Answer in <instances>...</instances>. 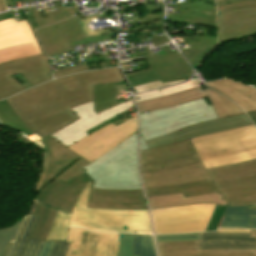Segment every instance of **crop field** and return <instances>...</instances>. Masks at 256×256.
Wrapping results in <instances>:
<instances>
[{
  "label": "crop field",
  "mask_w": 256,
  "mask_h": 256,
  "mask_svg": "<svg viewBox=\"0 0 256 256\" xmlns=\"http://www.w3.org/2000/svg\"><path fill=\"white\" fill-rule=\"evenodd\" d=\"M137 133L93 163L77 160L34 199L29 214L39 216L30 238L45 241L58 209L72 213L88 184L113 189H141L136 165Z\"/></svg>",
  "instance_id": "obj_1"
},
{
  "label": "crop field",
  "mask_w": 256,
  "mask_h": 256,
  "mask_svg": "<svg viewBox=\"0 0 256 256\" xmlns=\"http://www.w3.org/2000/svg\"><path fill=\"white\" fill-rule=\"evenodd\" d=\"M125 81L119 68L57 78L6 99L24 123L41 137L79 119L70 108L93 100L92 85Z\"/></svg>",
  "instance_id": "obj_2"
},
{
  "label": "crop field",
  "mask_w": 256,
  "mask_h": 256,
  "mask_svg": "<svg viewBox=\"0 0 256 256\" xmlns=\"http://www.w3.org/2000/svg\"><path fill=\"white\" fill-rule=\"evenodd\" d=\"M92 182L77 200L72 215L58 211L46 240H65L69 226L91 231L152 234L147 210L86 209Z\"/></svg>",
  "instance_id": "obj_3"
},
{
  "label": "crop field",
  "mask_w": 256,
  "mask_h": 256,
  "mask_svg": "<svg viewBox=\"0 0 256 256\" xmlns=\"http://www.w3.org/2000/svg\"><path fill=\"white\" fill-rule=\"evenodd\" d=\"M205 169L256 158L254 125L190 139Z\"/></svg>",
  "instance_id": "obj_4"
},
{
  "label": "crop field",
  "mask_w": 256,
  "mask_h": 256,
  "mask_svg": "<svg viewBox=\"0 0 256 256\" xmlns=\"http://www.w3.org/2000/svg\"><path fill=\"white\" fill-rule=\"evenodd\" d=\"M211 106L201 100L140 114L144 140L157 138L185 126L216 119Z\"/></svg>",
  "instance_id": "obj_5"
},
{
  "label": "crop field",
  "mask_w": 256,
  "mask_h": 256,
  "mask_svg": "<svg viewBox=\"0 0 256 256\" xmlns=\"http://www.w3.org/2000/svg\"><path fill=\"white\" fill-rule=\"evenodd\" d=\"M228 205L256 204V160L207 170Z\"/></svg>",
  "instance_id": "obj_6"
},
{
  "label": "crop field",
  "mask_w": 256,
  "mask_h": 256,
  "mask_svg": "<svg viewBox=\"0 0 256 256\" xmlns=\"http://www.w3.org/2000/svg\"><path fill=\"white\" fill-rule=\"evenodd\" d=\"M215 205L206 203L150 209L154 232L159 234L205 231Z\"/></svg>",
  "instance_id": "obj_7"
},
{
  "label": "crop field",
  "mask_w": 256,
  "mask_h": 256,
  "mask_svg": "<svg viewBox=\"0 0 256 256\" xmlns=\"http://www.w3.org/2000/svg\"><path fill=\"white\" fill-rule=\"evenodd\" d=\"M44 54L40 40L29 22L15 18L0 22V63Z\"/></svg>",
  "instance_id": "obj_8"
},
{
  "label": "crop field",
  "mask_w": 256,
  "mask_h": 256,
  "mask_svg": "<svg viewBox=\"0 0 256 256\" xmlns=\"http://www.w3.org/2000/svg\"><path fill=\"white\" fill-rule=\"evenodd\" d=\"M136 132L135 116L118 126L111 123L68 148L91 163Z\"/></svg>",
  "instance_id": "obj_9"
},
{
  "label": "crop field",
  "mask_w": 256,
  "mask_h": 256,
  "mask_svg": "<svg viewBox=\"0 0 256 256\" xmlns=\"http://www.w3.org/2000/svg\"><path fill=\"white\" fill-rule=\"evenodd\" d=\"M189 140L140 151V171L152 172L199 163Z\"/></svg>",
  "instance_id": "obj_10"
},
{
  "label": "crop field",
  "mask_w": 256,
  "mask_h": 256,
  "mask_svg": "<svg viewBox=\"0 0 256 256\" xmlns=\"http://www.w3.org/2000/svg\"><path fill=\"white\" fill-rule=\"evenodd\" d=\"M47 62V63H45ZM10 71V73H8ZM48 61L45 55L25 58L0 65V99L18 93L25 88L22 87L10 75L23 73L34 85L51 80Z\"/></svg>",
  "instance_id": "obj_11"
},
{
  "label": "crop field",
  "mask_w": 256,
  "mask_h": 256,
  "mask_svg": "<svg viewBox=\"0 0 256 256\" xmlns=\"http://www.w3.org/2000/svg\"><path fill=\"white\" fill-rule=\"evenodd\" d=\"M80 23V25H79ZM85 23L80 15L65 22L44 27L37 30V33L46 49L47 55H56L74 51L72 41L97 35L117 33V29L101 31L98 34H85L83 31ZM53 32V33H52Z\"/></svg>",
  "instance_id": "obj_12"
},
{
  "label": "crop field",
  "mask_w": 256,
  "mask_h": 256,
  "mask_svg": "<svg viewBox=\"0 0 256 256\" xmlns=\"http://www.w3.org/2000/svg\"><path fill=\"white\" fill-rule=\"evenodd\" d=\"M206 96L210 100L219 118L244 112L241 108H239L233 102L221 96L220 94L210 89L202 91L200 87L157 99L138 102L136 104L138 106L139 113H142L146 111L191 102L197 99L204 98Z\"/></svg>",
  "instance_id": "obj_13"
},
{
  "label": "crop field",
  "mask_w": 256,
  "mask_h": 256,
  "mask_svg": "<svg viewBox=\"0 0 256 256\" xmlns=\"http://www.w3.org/2000/svg\"><path fill=\"white\" fill-rule=\"evenodd\" d=\"M132 100L108 109L100 114H95L93 112V101L87 104L72 108V110L80 118L71 125L61 129L55 134L51 135L64 146H69L82 138L88 136L85 131L95 127L96 125L106 121L107 119L117 115L118 113L133 106ZM86 134H85V133Z\"/></svg>",
  "instance_id": "obj_14"
},
{
  "label": "crop field",
  "mask_w": 256,
  "mask_h": 256,
  "mask_svg": "<svg viewBox=\"0 0 256 256\" xmlns=\"http://www.w3.org/2000/svg\"><path fill=\"white\" fill-rule=\"evenodd\" d=\"M120 234L89 232L70 228L67 256H117Z\"/></svg>",
  "instance_id": "obj_15"
},
{
  "label": "crop field",
  "mask_w": 256,
  "mask_h": 256,
  "mask_svg": "<svg viewBox=\"0 0 256 256\" xmlns=\"http://www.w3.org/2000/svg\"><path fill=\"white\" fill-rule=\"evenodd\" d=\"M252 122L246 115V113L238 114L232 117H225L198 125L190 126L177 130L171 134L161 136L157 139L146 141L149 149L162 146L165 144L173 143L183 139L211 134L223 130H228L232 128L242 127L246 125H251Z\"/></svg>",
  "instance_id": "obj_16"
},
{
  "label": "crop field",
  "mask_w": 256,
  "mask_h": 256,
  "mask_svg": "<svg viewBox=\"0 0 256 256\" xmlns=\"http://www.w3.org/2000/svg\"><path fill=\"white\" fill-rule=\"evenodd\" d=\"M40 147L46 155L45 164L41 172L34 197L56 176L74 163L78 157L69 149L61 145L50 135L38 141Z\"/></svg>",
  "instance_id": "obj_17"
},
{
  "label": "crop field",
  "mask_w": 256,
  "mask_h": 256,
  "mask_svg": "<svg viewBox=\"0 0 256 256\" xmlns=\"http://www.w3.org/2000/svg\"><path fill=\"white\" fill-rule=\"evenodd\" d=\"M37 218L32 215L24 216L15 240L10 241L3 256H38L44 242L28 238ZM69 244L56 241L49 256H66Z\"/></svg>",
  "instance_id": "obj_18"
},
{
  "label": "crop field",
  "mask_w": 256,
  "mask_h": 256,
  "mask_svg": "<svg viewBox=\"0 0 256 256\" xmlns=\"http://www.w3.org/2000/svg\"><path fill=\"white\" fill-rule=\"evenodd\" d=\"M87 208L147 209L141 190H113L92 187Z\"/></svg>",
  "instance_id": "obj_19"
},
{
  "label": "crop field",
  "mask_w": 256,
  "mask_h": 256,
  "mask_svg": "<svg viewBox=\"0 0 256 256\" xmlns=\"http://www.w3.org/2000/svg\"><path fill=\"white\" fill-rule=\"evenodd\" d=\"M219 43L256 34V8H240L218 14Z\"/></svg>",
  "instance_id": "obj_20"
},
{
  "label": "crop field",
  "mask_w": 256,
  "mask_h": 256,
  "mask_svg": "<svg viewBox=\"0 0 256 256\" xmlns=\"http://www.w3.org/2000/svg\"><path fill=\"white\" fill-rule=\"evenodd\" d=\"M179 8V14H168V23L184 22L216 28L215 0H186V2L167 5Z\"/></svg>",
  "instance_id": "obj_21"
},
{
  "label": "crop field",
  "mask_w": 256,
  "mask_h": 256,
  "mask_svg": "<svg viewBox=\"0 0 256 256\" xmlns=\"http://www.w3.org/2000/svg\"><path fill=\"white\" fill-rule=\"evenodd\" d=\"M145 188L191 183L210 179L202 163L177 169L141 174Z\"/></svg>",
  "instance_id": "obj_22"
},
{
  "label": "crop field",
  "mask_w": 256,
  "mask_h": 256,
  "mask_svg": "<svg viewBox=\"0 0 256 256\" xmlns=\"http://www.w3.org/2000/svg\"><path fill=\"white\" fill-rule=\"evenodd\" d=\"M141 59H147L150 69L127 73L125 74L126 76L158 69L162 78V82H167V81L186 79V78H189L190 75L192 74L191 68L187 65V63L185 62L181 54L142 57V58L121 61V63L141 60Z\"/></svg>",
  "instance_id": "obj_23"
},
{
  "label": "crop field",
  "mask_w": 256,
  "mask_h": 256,
  "mask_svg": "<svg viewBox=\"0 0 256 256\" xmlns=\"http://www.w3.org/2000/svg\"><path fill=\"white\" fill-rule=\"evenodd\" d=\"M159 256H254V250H199V241L157 243Z\"/></svg>",
  "instance_id": "obj_24"
},
{
  "label": "crop field",
  "mask_w": 256,
  "mask_h": 256,
  "mask_svg": "<svg viewBox=\"0 0 256 256\" xmlns=\"http://www.w3.org/2000/svg\"><path fill=\"white\" fill-rule=\"evenodd\" d=\"M255 240L249 233H200V249H254Z\"/></svg>",
  "instance_id": "obj_25"
},
{
  "label": "crop field",
  "mask_w": 256,
  "mask_h": 256,
  "mask_svg": "<svg viewBox=\"0 0 256 256\" xmlns=\"http://www.w3.org/2000/svg\"><path fill=\"white\" fill-rule=\"evenodd\" d=\"M205 84L221 92L224 96L231 98L246 112L256 110V90L253 88L237 83L231 79H223Z\"/></svg>",
  "instance_id": "obj_26"
},
{
  "label": "crop field",
  "mask_w": 256,
  "mask_h": 256,
  "mask_svg": "<svg viewBox=\"0 0 256 256\" xmlns=\"http://www.w3.org/2000/svg\"><path fill=\"white\" fill-rule=\"evenodd\" d=\"M151 208H161L175 205H186V204H197V203H219L227 205V202L221 200L222 195L218 193L200 195L194 197L184 198L182 193L165 195V196H154L147 197Z\"/></svg>",
  "instance_id": "obj_27"
},
{
  "label": "crop field",
  "mask_w": 256,
  "mask_h": 256,
  "mask_svg": "<svg viewBox=\"0 0 256 256\" xmlns=\"http://www.w3.org/2000/svg\"><path fill=\"white\" fill-rule=\"evenodd\" d=\"M145 191L147 196L183 192L185 197L216 192L211 180H204L185 185L145 189Z\"/></svg>",
  "instance_id": "obj_28"
},
{
  "label": "crop field",
  "mask_w": 256,
  "mask_h": 256,
  "mask_svg": "<svg viewBox=\"0 0 256 256\" xmlns=\"http://www.w3.org/2000/svg\"><path fill=\"white\" fill-rule=\"evenodd\" d=\"M218 227H249V206H227Z\"/></svg>",
  "instance_id": "obj_29"
},
{
  "label": "crop field",
  "mask_w": 256,
  "mask_h": 256,
  "mask_svg": "<svg viewBox=\"0 0 256 256\" xmlns=\"http://www.w3.org/2000/svg\"><path fill=\"white\" fill-rule=\"evenodd\" d=\"M94 106L102 102L115 98L116 96L130 92L126 82H118L93 86Z\"/></svg>",
  "instance_id": "obj_30"
},
{
  "label": "crop field",
  "mask_w": 256,
  "mask_h": 256,
  "mask_svg": "<svg viewBox=\"0 0 256 256\" xmlns=\"http://www.w3.org/2000/svg\"><path fill=\"white\" fill-rule=\"evenodd\" d=\"M54 4V6L56 7L57 10L49 12V13H45L47 17L41 18L36 7H32L30 8L33 16L35 17L39 27L41 26H45L54 22H58L64 19H68L73 17L72 15H76L75 11L70 8H65L62 7L61 4L59 3V1H53L52 2Z\"/></svg>",
  "instance_id": "obj_31"
},
{
  "label": "crop field",
  "mask_w": 256,
  "mask_h": 256,
  "mask_svg": "<svg viewBox=\"0 0 256 256\" xmlns=\"http://www.w3.org/2000/svg\"><path fill=\"white\" fill-rule=\"evenodd\" d=\"M0 121L3 125L9 126L29 136L35 132L31 131L5 100L0 101Z\"/></svg>",
  "instance_id": "obj_32"
},
{
  "label": "crop field",
  "mask_w": 256,
  "mask_h": 256,
  "mask_svg": "<svg viewBox=\"0 0 256 256\" xmlns=\"http://www.w3.org/2000/svg\"><path fill=\"white\" fill-rule=\"evenodd\" d=\"M216 45L217 43H190V47L182 49L181 51L191 65H198L206 54Z\"/></svg>",
  "instance_id": "obj_33"
},
{
  "label": "crop field",
  "mask_w": 256,
  "mask_h": 256,
  "mask_svg": "<svg viewBox=\"0 0 256 256\" xmlns=\"http://www.w3.org/2000/svg\"><path fill=\"white\" fill-rule=\"evenodd\" d=\"M132 255L155 256L152 235L134 234Z\"/></svg>",
  "instance_id": "obj_34"
},
{
  "label": "crop field",
  "mask_w": 256,
  "mask_h": 256,
  "mask_svg": "<svg viewBox=\"0 0 256 256\" xmlns=\"http://www.w3.org/2000/svg\"><path fill=\"white\" fill-rule=\"evenodd\" d=\"M143 6L146 16L141 18L140 27L164 24V8L155 7L151 4H145Z\"/></svg>",
  "instance_id": "obj_35"
},
{
  "label": "crop field",
  "mask_w": 256,
  "mask_h": 256,
  "mask_svg": "<svg viewBox=\"0 0 256 256\" xmlns=\"http://www.w3.org/2000/svg\"><path fill=\"white\" fill-rule=\"evenodd\" d=\"M127 79L129 81L131 87L148 84V83H152V82L161 80L157 70L139 74V75L128 76Z\"/></svg>",
  "instance_id": "obj_36"
},
{
  "label": "crop field",
  "mask_w": 256,
  "mask_h": 256,
  "mask_svg": "<svg viewBox=\"0 0 256 256\" xmlns=\"http://www.w3.org/2000/svg\"><path fill=\"white\" fill-rule=\"evenodd\" d=\"M23 216L19 219V221L16 224L7 228L0 229V256H2L9 241L14 239L16 231Z\"/></svg>",
  "instance_id": "obj_37"
},
{
  "label": "crop field",
  "mask_w": 256,
  "mask_h": 256,
  "mask_svg": "<svg viewBox=\"0 0 256 256\" xmlns=\"http://www.w3.org/2000/svg\"><path fill=\"white\" fill-rule=\"evenodd\" d=\"M156 241L199 240V233L156 235Z\"/></svg>",
  "instance_id": "obj_38"
},
{
  "label": "crop field",
  "mask_w": 256,
  "mask_h": 256,
  "mask_svg": "<svg viewBox=\"0 0 256 256\" xmlns=\"http://www.w3.org/2000/svg\"><path fill=\"white\" fill-rule=\"evenodd\" d=\"M133 234H121L118 256H131Z\"/></svg>",
  "instance_id": "obj_39"
},
{
  "label": "crop field",
  "mask_w": 256,
  "mask_h": 256,
  "mask_svg": "<svg viewBox=\"0 0 256 256\" xmlns=\"http://www.w3.org/2000/svg\"><path fill=\"white\" fill-rule=\"evenodd\" d=\"M226 206L217 204L206 231H215Z\"/></svg>",
  "instance_id": "obj_40"
},
{
  "label": "crop field",
  "mask_w": 256,
  "mask_h": 256,
  "mask_svg": "<svg viewBox=\"0 0 256 256\" xmlns=\"http://www.w3.org/2000/svg\"><path fill=\"white\" fill-rule=\"evenodd\" d=\"M177 37L181 43H184V42H217L216 37H212V36L179 35Z\"/></svg>",
  "instance_id": "obj_41"
},
{
  "label": "crop field",
  "mask_w": 256,
  "mask_h": 256,
  "mask_svg": "<svg viewBox=\"0 0 256 256\" xmlns=\"http://www.w3.org/2000/svg\"><path fill=\"white\" fill-rule=\"evenodd\" d=\"M88 70H89V66H88V64H85V65H81V66H76V67H72V68H68V69L55 71V72H53V75H54V78H57L59 76L69 75V74H73V73H77V72H81V71H88Z\"/></svg>",
  "instance_id": "obj_42"
},
{
  "label": "crop field",
  "mask_w": 256,
  "mask_h": 256,
  "mask_svg": "<svg viewBox=\"0 0 256 256\" xmlns=\"http://www.w3.org/2000/svg\"><path fill=\"white\" fill-rule=\"evenodd\" d=\"M239 7H256V1L232 3V4H229V5L218 7L217 11H218V13H220V12H223V11H226V10H230V9H234V8H239Z\"/></svg>",
  "instance_id": "obj_43"
},
{
  "label": "crop field",
  "mask_w": 256,
  "mask_h": 256,
  "mask_svg": "<svg viewBox=\"0 0 256 256\" xmlns=\"http://www.w3.org/2000/svg\"><path fill=\"white\" fill-rule=\"evenodd\" d=\"M108 40H113V38L110 37V35L98 36V37H89V38H85L84 40H81V41H75V42H73V44H74V46H76V45L85 44V43L108 41Z\"/></svg>",
  "instance_id": "obj_44"
},
{
  "label": "crop field",
  "mask_w": 256,
  "mask_h": 256,
  "mask_svg": "<svg viewBox=\"0 0 256 256\" xmlns=\"http://www.w3.org/2000/svg\"><path fill=\"white\" fill-rule=\"evenodd\" d=\"M119 102L117 100V98L113 99V100H110L108 102H105V103H102L100 105H97L94 107V112H96L97 114L108 109V108H111L115 105H118Z\"/></svg>",
  "instance_id": "obj_45"
},
{
  "label": "crop field",
  "mask_w": 256,
  "mask_h": 256,
  "mask_svg": "<svg viewBox=\"0 0 256 256\" xmlns=\"http://www.w3.org/2000/svg\"><path fill=\"white\" fill-rule=\"evenodd\" d=\"M55 241L45 242L39 256H48Z\"/></svg>",
  "instance_id": "obj_46"
},
{
  "label": "crop field",
  "mask_w": 256,
  "mask_h": 256,
  "mask_svg": "<svg viewBox=\"0 0 256 256\" xmlns=\"http://www.w3.org/2000/svg\"><path fill=\"white\" fill-rule=\"evenodd\" d=\"M250 226H256V210H250Z\"/></svg>",
  "instance_id": "obj_47"
},
{
  "label": "crop field",
  "mask_w": 256,
  "mask_h": 256,
  "mask_svg": "<svg viewBox=\"0 0 256 256\" xmlns=\"http://www.w3.org/2000/svg\"><path fill=\"white\" fill-rule=\"evenodd\" d=\"M216 1H217V7H218V6H222L235 1H247V0H216Z\"/></svg>",
  "instance_id": "obj_48"
},
{
  "label": "crop field",
  "mask_w": 256,
  "mask_h": 256,
  "mask_svg": "<svg viewBox=\"0 0 256 256\" xmlns=\"http://www.w3.org/2000/svg\"><path fill=\"white\" fill-rule=\"evenodd\" d=\"M12 17H13V15L11 14V12L0 14V21L8 19V18H12Z\"/></svg>",
  "instance_id": "obj_49"
},
{
  "label": "crop field",
  "mask_w": 256,
  "mask_h": 256,
  "mask_svg": "<svg viewBox=\"0 0 256 256\" xmlns=\"http://www.w3.org/2000/svg\"><path fill=\"white\" fill-rule=\"evenodd\" d=\"M217 231L249 232V230L242 229H218Z\"/></svg>",
  "instance_id": "obj_50"
},
{
  "label": "crop field",
  "mask_w": 256,
  "mask_h": 256,
  "mask_svg": "<svg viewBox=\"0 0 256 256\" xmlns=\"http://www.w3.org/2000/svg\"><path fill=\"white\" fill-rule=\"evenodd\" d=\"M248 115L250 116V118L252 119L254 124H256V111L255 112H249Z\"/></svg>",
  "instance_id": "obj_51"
},
{
  "label": "crop field",
  "mask_w": 256,
  "mask_h": 256,
  "mask_svg": "<svg viewBox=\"0 0 256 256\" xmlns=\"http://www.w3.org/2000/svg\"><path fill=\"white\" fill-rule=\"evenodd\" d=\"M144 149H148V147L146 146L145 142L143 141V139L141 137L140 150H144Z\"/></svg>",
  "instance_id": "obj_52"
},
{
  "label": "crop field",
  "mask_w": 256,
  "mask_h": 256,
  "mask_svg": "<svg viewBox=\"0 0 256 256\" xmlns=\"http://www.w3.org/2000/svg\"><path fill=\"white\" fill-rule=\"evenodd\" d=\"M250 237H256V230H250ZM255 255H256V246H255Z\"/></svg>",
  "instance_id": "obj_53"
},
{
  "label": "crop field",
  "mask_w": 256,
  "mask_h": 256,
  "mask_svg": "<svg viewBox=\"0 0 256 256\" xmlns=\"http://www.w3.org/2000/svg\"><path fill=\"white\" fill-rule=\"evenodd\" d=\"M4 9H6V6H5L3 0H0V10H4Z\"/></svg>",
  "instance_id": "obj_54"
},
{
  "label": "crop field",
  "mask_w": 256,
  "mask_h": 256,
  "mask_svg": "<svg viewBox=\"0 0 256 256\" xmlns=\"http://www.w3.org/2000/svg\"><path fill=\"white\" fill-rule=\"evenodd\" d=\"M101 56V54H99V55H92V56H86V57H84L85 59H89V58H96V57H100ZM105 56H107V55H105Z\"/></svg>",
  "instance_id": "obj_55"
},
{
  "label": "crop field",
  "mask_w": 256,
  "mask_h": 256,
  "mask_svg": "<svg viewBox=\"0 0 256 256\" xmlns=\"http://www.w3.org/2000/svg\"><path fill=\"white\" fill-rule=\"evenodd\" d=\"M250 209H256V206H250Z\"/></svg>",
  "instance_id": "obj_56"
},
{
  "label": "crop field",
  "mask_w": 256,
  "mask_h": 256,
  "mask_svg": "<svg viewBox=\"0 0 256 256\" xmlns=\"http://www.w3.org/2000/svg\"><path fill=\"white\" fill-rule=\"evenodd\" d=\"M194 68V66H192ZM195 69V68H194Z\"/></svg>",
  "instance_id": "obj_57"
}]
</instances>
